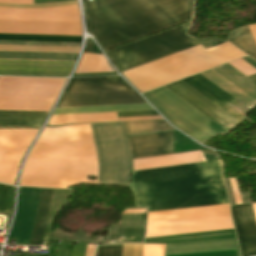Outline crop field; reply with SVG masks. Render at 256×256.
Returning a JSON list of instances; mask_svg holds the SVG:
<instances>
[{
  "label": "crop field",
  "mask_w": 256,
  "mask_h": 256,
  "mask_svg": "<svg viewBox=\"0 0 256 256\" xmlns=\"http://www.w3.org/2000/svg\"><path fill=\"white\" fill-rule=\"evenodd\" d=\"M116 73H105V74H84V75H74V76H96V75H110Z\"/></svg>",
  "instance_id": "crop-field-44"
},
{
  "label": "crop field",
  "mask_w": 256,
  "mask_h": 256,
  "mask_svg": "<svg viewBox=\"0 0 256 256\" xmlns=\"http://www.w3.org/2000/svg\"><path fill=\"white\" fill-rule=\"evenodd\" d=\"M248 109L256 105V84L226 64L201 73Z\"/></svg>",
  "instance_id": "crop-field-12"
},
{
  "label": "crop field",
  "mask_w": 256,
  "mask_h": 256,
  "mask_svg": "<svg viewBox=\"0 0 256 256\" xmlns=\"http://www.w3.org/2000/svg\"><path fill=\"white\" fill-rule=\"evenodd\" d=\"M124 126L127 135L172 128L163 120L124 123Z\"/></svg>",
  "instance_id": "crop-field-29"
},
{
  "label": "crop field",
  "mask_w": 256,
  "mask_h": 256,
  "mask_svg": "<svg viewBox=\"0 0 256 256\" xmlns=\"http://www.w3.org/2000/svg\"><path fill=\"white\" fill-rule=\"evenodd\" d=\"M22 172L98 176L97 161H75L28 157ZM22 173L20 186L66 189L75 185L97 184L89 176Z\"/></svg>",
  "instance_id": "crop-field-5"
},
{
  "label": "crop field",
  "mask_w": 256,
  "mask_h": 256,
  "mask_svg": "<svg viewBox=\"0 0 256 256\" xmlns=\"http://www.w3.org/2000/svg\"><path fill=\"white\" fill-rule=\"evenodd\" d=\"M78 54L0 52V59L75 61Z\"/></svg>",
  "instance_id": "crop-field-25"
},
{
  "label": "crop field",
  "mask_w": 256,
  "mask_h": 256,
  "mask_svg": "<svg viewBox=\"0 0 256 256\" xmlns=\"http://www.w3.org/2000/svg\"><path fill=\"white\" fill-rule=\"evenodd\" d=\"M114 72L103 56L84 54L75 74Z\"/></svg>",
  "instance_id": "crop-field-28"
},
{
  "label": "crop field",
  "mask_w": 256,
  "mask_h": 256,
  "mask_svg": "<svg viewBox=\"0 0 256 256\" xmlns=\"http://www.w3.org/2000/svg\"><path fill=\"white\" fill-rule=\"evenodd\" d=\"M0 2L33 4V0H0Z\"/></svg>",
  "instance_id": "crop-field-43"
},
{
  "label": "crop field",
  "mask_w": 256,
  "mask_h": 256,
  "mask_svg": "<svg viewBox=\"0 0 256 256\" xmlns=\"http://www.w3.org/2000/svg\"><path fill=\"white\" fill-rule=\"evenodd\" d=\"M132 90L120 77L71 79L65 93Z\"/></svg>",
  "instance_id": "crop-field-18"
},
{
  "label": "crop field",
  "mask_w": 256,
  "mask_h": 256,
  "mask_svg": "<svg viewBox=\"0 0 256 256\" xmlns=\"http://www.w3.org/2000/svg\"><path fill=\"white\" fill-rule=\"evenodd\" d=\"M230 213L229 204L148 213L147 222Z\"/></svg>",
  "instance_id": "crop-field-20"
},
{
  "label": "crop field",
  "mask_w": 256,
  "mask_h": 256,
  "mask_svg": "<svg viewBox=\"0 0 256 256\" xmlns=\"http://www.w3.org/2000/svg\"><path fill=\"white\" fill-rule=\"evenodd\" d=\"M166 86L181 96L183 99H185L187 102L192 104L194 107L199 109L201 112L206 114L208 117L213 119L219 125L224 127L226 130L229 131L240 124V122H238L236 119L227 114L225 111L216 106L214 103H212L210 100H208L206 97L201 95L182 80Z\"/></svg>",
  "instance_id": "crop-field-15"
},
{
  "label": "crop field",
  "mask_w": 256,
  "mask_h": 256,
  "mask_svg": "<svg viewBox=\"0 0 256 256\" xmlns=\"http://www.w3.org/2000/svg\"><path fill=\"white\" fill-rule=\"evenodd\" d=\"M228 40L256 60V43L248 26L234 30Z\"/></svg>",
  "instance_id": "crop-field-27"
},
{
  "label": "crop field",
  "mask_w": 256,
  "mask_h": 256,
  "mask_svg": "<svg viewBox=\"0 0 256 256\" xmlns=\"http://www.w3.org/2000/svg\"><path fill=\"white\" fill-rule=\"evenodd\" d=\"M39 130H0V182L14 185L22 158Z\"/></svg>",
  "instance_id": "crop-field-10"
},
{
  "label": "crop field",
  "mask_w": 256,
  "mask_h": 256,
  "mask_svg": "<svg viewBox=\"0 0 256 256\" xmlns=\"http://www.w3.org/2000/svg\"><path fill=\"white\" fill-rule=\"evenodd\" d=\"M53 191L41 189L40 195V189L19 188L16 217L8 239L18 240L17 245L29 244L40 195L29 245H41L51 212Z\"/></svg>",
  "instance_id": "crop-field-9"
},
{
  "label": "crop field",
  "mask_w": 256,
  "mask_h": 256,
  "mask_svg": "<svg viewBox=\"0 0 256 256\" xmlns=\"http://www.w3.org/2000/svg\"><path fill=\"white\" fill-rule=\"evenodd\" d=\"M84 5L91 33L121 72L201 44L185 34L193 0H91Z\"/></svg>",
  "instance_id": "crop-field-1"
},
{
  "label": "crop field",
  "mask_w": 256,
  "mask_h": 256,
  "mask_svg": "<svg viewBox=\"0 0 256 256\" xmlns=\"http://www.w3.org/2000/svg\"><path fill=\"white\" fill-rule=\"evenodd\" d=\"M166 245H144L143 256H164Z\"/></svg>",
  "instance_id": "crop-field-38"
},
{
  "label": "crop field",
  "mask_w": 256,
  "mask_h": 256,
  "mask_svg": "<svg viewBox=\"0 0 256 256\" xmlns=\"http://www.w3.org/2000/svg\"><path fill=\"white\" fill-rule=\"evenodd\" d=\"M144 95L177 129L200 143L228 132L165 86Z\"/></svg>",
  "instance_id": "crop-field-7"
},
{
  "label": "crop field",
  "mask_w": 256,
  "mask_h": 256,
  "mask_svg": "<svg viewBox=\"0 0 256 256\" xmlns=\"http://www.w3.org/2000/svg\"><path fill=\"white\" fill-rule=\"evenodd\" d=\"M48 113L0 111V128H40Z\"/></svg>",
  "instance_id": "crop-field-21"
},
{
  "label": "crop field",
  "mask_w": 256,
  "mask_h": 256,
  "mask_svg": "<svg viewBox=\"0 0 256 256\" xmlns=\"http://www.w3.org/2000/svg\"><path fill=\"white\" fill-rule=\"evenodd\" d=\"M132 159L173 154L171 132L127 138Z\"/></svg>",
  "instance_id": "crop-field-16"
},
{
  "label": "crop field",
  "mask_w": 256,
  "mask_h": 256,
  "mask_svg": "<svg viewBox=\"0 0 256 256\" xmlns=\"http://www.w3.org/2000/svg\"><path fill=\"white\" fill-rule=\"evenodd\" d=\"M253 206V210H254V214H255V218H256V204H252Z\"/></svg>",
  "instance_id": "crop-field-47"
},
{
  "label": "crop field",
  "mask_w": 256,
  "mask_h": 256,
  "mask_svg": "<svg viewBox=\"0 0 256 256\" xmlns=\"http://www.w3.org/2000/svg\"><path fill=\"white\" fill-rule=\"evenodd\" d=\"M146 103L134 91L64 94L57 108Z\"/></svg>",
  "instance_id": "crop-field-14"
},
{
  "label": "crop field",
  "mask_w": 256,
  "mask_h": 256,
  "mask_svg": "<svg viewBox=\"0 0 256 256\" xmlns=\"http://www.w3.org/2000/svg\"><path fill=\"white\" fill-rule=\"evenodd\" d=\"M243 256L256 255V222L251 204L231 206Z\"/></svg>",
  "instance_id": "crop-field-17"
},
{
  "label": "crop field",
  "mask_w": 256,
  "mask_h": 256,
  "mask_svg": "<svg viewBox=\"0 0 256 256\" xmlns=\"http://www.w3.org/2000/svg\"><path fill=\"white\" fill-rule=\"evenodd\" d=\"M136 207L148 212L229 203L216 161L133 172Z\"/></svg>",
  "instance_id": "crop-field-2"
},
{
  "label": "crop field",
  "mask_w": 256,
  "mask_h": 256,
  "mask_svg": "<svg viewBox=\"0 0 256 256\" xmlns=\"http://www.w3.org/2000/svg\"><path fill=\"white\" fill-rule=\"evenodd\" d=\"M256 41V25L249 26Z\"/></svg>",
  "instance_id": "crop-field-45"
},
{
  "label": "crop field",
  "mask_w": 256,
  "mask_h": 256,
  "mask_svg": "<svg viewBox=\"0 0 256 256\" xmlns=\"http://www.w3.org/2000/svg\"><path fill=\"white\" fill-rule=\"evenodd\" d=\"M195 79H197L199 82H201L202 84H204L205 86H207L209 89H211L212 91H214L215 93H217L219 96H221L222 98H224L225 100H227L229 103H233L236 100H234L232 97H230L228 94H226L225 92H223L221 89H219L217 86H215L213 83H211L210 81H208L206 78H204L202 75L198 74L193 76Z\"/></svg>",
  "instance_id": "crop-field-36"
},
{
  "label": "crop field",
  "mask_w": 256,
  "mask_h": 256,
  "mask_svg": "<svg viewBox=\"0 0 256 256\" xmlns=\"http://www.w3.org/2000/svg\"><path fill=\"white\" fill-rule=\"evenodd\" d=\"M153 110L148 104L55 109L53 115Z\"/></svg>",
  "instance_id": "crop-field-24"
},
{
  "label": "crop field",
  "mask_w": 256,
  "mask_h": 256,
  "mask_svg": "<svg viewBox=\"0 0 256 256\" xmlns=\"http://www.w3.org/2000/svg\"><path fill=\"white\" fill-rule=\"evenodd\" d=\"M65 80L0 77V110L49 112Z\"/></svg>",
  "instance_id": "crop-field-6"
},
{
  "label": "crop field",
  "mask_w": 256,
  "mask_h": 256,
  "mask_svg": "<svg viewBox=\"0 0 256 256\" xmlns=\"http://www.w3.org/2000/svg\"><path fill=\"white\" fill-rule=\"evenodd\" d=\"M81 37L0 34V40L80 42Z\"/></svg>",
  "instance_id": "crop-field-30"
},
{
  "label": "crop field",
  "mask_w": 256,
  "mask_h": 256,
  "mask_svg": "<svg viewBox=\"0 0 256 256\" xmlns=\"http://www.w3.org/2000/svg\"><path fill=\"white\" fill-rule=\"evenodd\" d=\"M80 48L63 47H29V46H0V51H28V52H62L78 53Z\"/></svg>",
  "instance_id": "crop-field-31"
},
{
  "label": "crop field",
  "mask_w": 256,
  "mask_h": 256,
  "mask_svg": "<svg viewBox=\"0 0 256 256\" xmlns=\"http://www.w3.org/2000/svg\"><path fill=\"white\" fill-rule=\"evenodd\" d=\"M14 187L0 184V211L11 213Z\"/></svg>",
  "instance_id": "crop-field-32"
},
{
  "label": "crop field",
  "mask_w": 256,
  "mask_h": 256,
  "mask_svg": "<svg viewBox=\"0 0 256 256\" xmlns=\"http://www.w3.org/2000/svg\"><path fill=\"white\" fill-rule=\"evenodd\" d=\"M117 121L116 113L51 116L48 125Z\"/></svg>",
  "instance_id": "crop-field-23"
},
{
  "label": "crop field",
  "mask_w": 256,
  "mask_h": 256,
  "mask_svg": "<svg viewBox=\"0 0 256 256\" xmlns=\"http://www.w3.org/2000/svg\"><path fill=\"white\" fill-rule=\"evenodd\" d=\"M226 42L205 50L202 45L123 72L141 92L244 56Z\"/></svg>",
  "instance_id": "crop-field-3"
},
{
  "label": "crop field",
  "mask_w": 256,
  "mask_h": 256,
  "mask_svg": "<svg viewBox=\"0 0 256 256\" xmlns=\"http://www.w3.org/2000/svg\"><path fill=\"white\" fill-rule=\"evenodd\" d=\"M122 244L98 246L96 256H121Z\"/></svg>",
  "instance_id": "crop-field-35"
},
{
  "label": "crop field",
  "mask_w": 256,
  "mask_h": 256,
  "mask_svg": "<svg viewBox=\"0 0 256 256\" xmlns=\"http://www.w3.org/2000/svg\"><path fill=\"white\" fill-rule=\"evenodd\" d=\"M229 179H230V183H231V187H232V191H233L236 203L240 204V203H242V201H241L240 193H239L238 186L236 183V179L235 178H229Z\"/></svg>",
  "instance_id": "crop-field-41"
},
{
  "label": "crop field",
  "mask_w": 256,
  "mask_h": 256,
  "mask_svg": "<svg viewBox=\"0 0 256 256\" xmlns=\"http://www.w3.org/2000/svg\"><path fill=\"white\" fill-rule=\"evenodd\" d=\"M234 228L231 215L147 223L145 238Z\"/></svg>",
  "instance_id": "crop-field-11"
},
{
  "label": "crop field",
  "mask_w": 256,
  "mask_h": 256,
  "mask_svg": "<svg viewBox=\"0 0 256 256\" xmlns=\"http://www.w3.org/2000/svg\"><path fill=\"white\" fill-rule=\"evenodd\" d=\"M0 20H29V21H63V22H80V18H63V17H29V16H0Z\"/></svg>",
  "instance_id": "crop-field-33"
},
{
  "label": "crop field",
  "mask_w": 256,
  "mask_h": 256,
  "mask_svg": "<svg viewBox=\"0 0 256 256\" xmlns=\"http://www.w3.org/2000/svg\"><path fill=\"white\" fill-rule=\"evenodd\" d=\"M133 161V171L158 167L181 165L205 161L201 151L174 154L170 156L136 159Z\"/></svg>",
  "instance_id": "crop-field-19"
},
{
  "label": "crop field",
  "mask_w": 256,
  "mask_h": 256,
  "mask_svg": "<svg viewBox=\"0 0 256 256\" xmlns=\"http://www.w3.org/2000/svg\"><path fill=\"white\" fill-rule=\"evenodd\" d=\"M153 115H158V114L155 111L118 113L119 118L153 116Z\"/></svg>",
  "instance_id": "crop-field-40"
},
{
  "label": "crop field",
  "mask_w": 256,
  "mask_h": 256,
  "mask_svg": "<svg viewBox=\"0 0 256 256\" xmlns=\"http://www.w3.org/2000/svg\"><path fill=\"white\" fill-rule=\"evenodd\" d=\"M152 119H162V118L160 116H153V117L125 118V119H119V121L152 120Z\"/></svg>",
  "instance_id": "crop-field-42"
},
{
  "label": "crop field",
  "mask_w": 256,
  "mask_h": 256,
  "mask_svg": "<svg viewBox=\"0 0 256 256\" xmlns=\"http://www.w3.org/2000/svg\"><path fill=\"white\" fill-rule=\"evenodd\" d=\"M28 156L97 160L89 124L45 127Z\"/></svg>",
  "instance_id": "crop-field-8"
},
{
  "label": "crop field",
  "mask_w": 256,
  "mask_h": 256,
  "mask_svg": "<svg viewBox=\"0 0 256 256\" xmlns=\"http://www.w3.org/2000/svg\"><path fill=\"white\" fill-rule=\"evenodd\" d=\"M0 15L80 17L77 5L62 7V8H54V9H6V8H0Z\"/></svg>",
  "instance_id": "crop-field-22"
},
{
  "label": "crop field",
  "mask_w": 256,
  "mask_h": 256,
  "mask_svg": "<svg viewBox=\"0 0 256 256\" xmlns=\"http://www.w3.org/2000/svg\"><path fill=\"white\" fill-rule=\"evenodd\" d=\"M75 62L0 60V75L68 77Z\"/></svg>",
  "instance_id": "crop-field-13"
},
{
  "label": "crop field",
  "mask_w": 256,
  "mask_h": 256,
  "mask_svg": "<svg viewBox=\"0 0 256 256\" xmlns=\"http://www.w3.org/2000/svg\"><path fill=\"white\" fill-rule=\"evenodd\" d=\"M90 126L98 158V184L129 185L131 159L122 123Z\"/></svg>",
  "instance_id": "crop-field-4"
},
{
  "label": "crop field",
  "mask_w": 256,
  "mask_h": 256,
  "mask_svg": "<svg viewBox=\"0 0 256 256\" xmlns=\"http://www.w3.org/2000/svg\"><path fill=\"white\" fill-rule=\"evenodd\" d=\"M186 83H188L190 86H192L193 88H195L197 91H199L201 94H203L204 96H206L208 99H210L212 102H214L216 105H218L219 107H221L223 110H225L227 113H229L230 115H232L234 118H236L238 121H241L242 117L244 114H242L240 111H238L237 109H235L233 106H231L230 104H228L226 101H224L223 99H221L219 96H217L215 93H213L212 91H210L208 88H206L205 86H203L201 83H199L198 81H196L194 78L190 77V78H186L183 79ZM183 81V82H184ZM187 84V85H188ZM194 89V90H195Z\"/></svg>",
  "instance_id": "crop-field-26"
},
{
  "label": "crop field",
  "mask_w": 256,
  "mask_h": 256,
  "mask_svg": "<svg viewBox=\"0 0 256 256\" xmlns=\"http://www.w3.org/2000/svg\"><path fill=\"white\" fill-rule=\"evenodd\" d=\"M74 4H77V2L76 1H71V2L42 4V5H20V4L0 3V7H7V8H53V7H62V6L74 5Z\"/></svg>",
  "instance_id": "crop-field-34"
},
{
  "label": "crop field",
  "mask_w": 256,
  "mask_h": 256,
  "mask_svg": "<svg viewBox=\"0 0 256 256\" xmlns=\"http://www.w3.org/2000/svg\"><path fill=\"white\" fill-rule=\"evenodd\" d=\"M143 245L123 244L122 256H142Z\"/></svg>",
  "instance_id": "crop-field-39"
},
{
  "label": "crop field",
  "mask_w": 256,
  "mask_h": 256,
  "mask_svg": "<svg viewBox=\"0 0 256 256\" xmlns=\"http://www.w3.org/2000/svg\"><path fill=\"white\" fill-rule=\"evenodd\" d=\"M231 66H233L235 69L243 73L245 76L249 77L256 73V69L250 66L248 63H246L244 60L240 59L237 61H234L232 63H229Z\"/></svg>",
  "instance_id": "crop-field-37"
},
{
  "label": "crop field",
  "mask_w": 256,
  "mask_h": 256,
  "mask_svg": "<svg viewBox=\"0 0 256 256\" xmlns=\"http://www.w3.org/2000/svg\"><path fill=\"white\" fill-rule=\"evenodd\" d=\"M135 211H146V210H135ZM124 212H134V211H124ZM135 213H145V212H135ZM123 214H134V213H123Z\"/></svg>",
  "instance_id": "crop-field-46"
}]
</instances>
